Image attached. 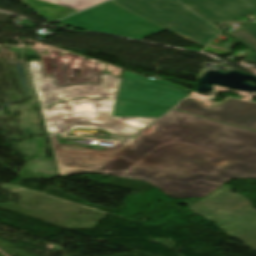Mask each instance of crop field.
Here are the masks:
<instances>
[{
	"mask_svg": "<svg viewBox=\"0 0 256 256\" xmlns=\"http://www.w3.org/2000/svg\"><path fill=\"white\" fill-rule=\"evenodd\" d=\"M175 109L256 130V103L229 99L211 108L191 99H184Z\"/></svg>",
	"mask_w": 256,
	"mask_h": 256,
	"instance_id": "d8731c3e",
	"label": "crop field"
},
{
	"mask_svg": "<svg viewBox=\"0 0 256 256\" xmlns=\"http://www.w3.org/2000/svg\"><path fill=\"white\" fill-rule=\"evenodd\" d=\"M119 82L120 78L107 74L100 95L117 96Z\"/></svg>",
	"mask_w": 256,
	"mask_h": 256,
	"instance_id": "28ad6ade",
	"label": "crop field"
},
{
	"mask_svg": "<svg viewBox=\"0 0 256 256\" xmlns=\"http://www.w3.org/2000/svg\"><path fill=\"white\" fill-rule=\"evenodd\" d=\"M204 51H206L208 53L216 52V53H220V54H229V53L232 52V51H228V50L218 48V47H215V46H211V45H209Z\"/></svg>",
	"mask_w": 256,
	"mask_h": 256,
	"instance_id": "d1516ede",
	"label": "crop field"
},
{
	"mask_svg": "<svg viewBox=\"0 0 256 256\" xmlns=\"http://www.w3.org/2000/svg\"><path fill=\"white\" fill-rule=\"evenodd\" d=\"M111 3L201 48L220 33L176 0H114Z\"/></svg>",
	"mask_w": 256,
	"mask_h": 256,
	"instance_id": "412701ff",
	"label": "crop field"
},
{
	"mask_svg": "<svg viewBox=\"0 0 256 256\" xmlns=\"http://www.w3.org/2000/svg\"><path fill=\"white\" fill-rule=\"evenodd\" d=\"M79 30L142 39L164 29L109 2L60 21Z\"/></svg>",
	"mask_w": 256,
	"mask_h": 256,
	"instance_id": "dd49c442",
	"label": "crop field"
},
{
	"mask_svg": "<svg viewBox=\"0 0 256 256\" xmlns=\"http://www.w3.org/2000/svg\"><path fill=\"white\" fill-rule=\"evenodd\" d=\"M50 140L60 175L98 173L149 182L172 198L205 197L218 188L197 181L186 183L157 176L147 179L127 173L96 171L118 151L100 152L79 144H60L57 139Z\"/></svg>",
	"mask_w": 256,
	"mask_h": 256,
	"instance_id": "34b2d1b8",
	"label": "crop field"
},
{
	"mask_svg": "<svg viewBox=\"0 0 256 256\" xmlns=\"http://www.w3.org/2000/svg\"><path fill=\"white\" fill-rule=\"evenodd\" d=\"M36 10L48 22L70 15L106 0H19Z\"/></svg>",
	"mask_w": 256,
	"mask_h": 256,
	"instance_id": "5a996713",
	"label": "crop field"
},
{
	"mask_svg": "<svg viewBox=\"0 0 256 256\" xmlns=\"http://www.w3.org/2000/svg\"><path fill=\"white\" fill-rule=\"evenodd\" d=\"M184 5H190L200 18L212 24L230 20L248 13L256 14V0H178ZM245 28L231 31L228 35L253 51L243 60L256 62V23L244 21Z\"/></svg>",
	"mask_w": 256,
	"mask_h": 256,
	"instance_id": "e52e79f7",
	"label": "crop field"
},
{
	"mask_svg": "<svg viewBox=\"0 0 256 256\" xmlns=\"http://www.w3.org/2000/svg\"><path fill=\"white\" fill-rule=\"evenodd\" d=\"M98 170L218 186L256 178V132L172 109Z\"/></svg>",
	"mask_w": 256,
	"mask_h": 256,
	"instance_id": "8a807250",
	"label": "crop field"
},
{
	"mask_svg": "<svg viewBox=\"0 0 256 256\" xmlns=\"http://www.w3.org/2000/svg\"><path fill=\"white\" fill-rule=\"evenodd\" d=\"M47 133L66 134L70 129L105 130L113 136H132L142 132L157 118L113 117L117 97L99 96L101 84H79L48 88L40 60L28 62ZM68 97L110 98V100L67 99Z\"/></svg>",
	"mask_w": 256,
	"mask_h": 256,
	"instance_id": "ac0d7876",
	"label": "crop field"
},
{
	"mask_svg": "<svg viewBox=\"0 0 256 256\" xmlns=\"http://www.w3.org/2000/svg\"><path fill=\"white\" fill-rule=\"evenodd\" d=\"M189 92L161 79L153 81L122 70L114 116L160 117L168 110L164 107L172 108ZM119 99L138 100L164 107Z\"/></svg>",
	"mask_w": 256,
	"mask_h": 256,
	"instance_id": "f4fd0767",
	"label": "crop field"
},
{
	"mask_svg": "<svg viewBox=\"0 0 256 256\" xmlns=\"http://www.w3.org/2000/svg\"><path fill=\"white\" fill-rule=\"evenodd\" d=\"M46 48L50 57V61L52 64V71H53L52 78L46 77L49 87L76 84V83H73L71 57L78 59V83H93L96 64H101V63H98L83 57H79L73 54H69L63 51H59L56 49H52L48 47ZM52 50L61 52L64 84H59ZM86 61L93 64L90 82H85ZM104 66H105L104 64H101L97 83H100Z\"/></svg>",
	"mask_w": 256,
	"mask_h": 256,
	"instance_id": "3316defc",
	"label": "crop field"
}]
</instances>
